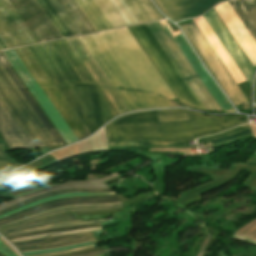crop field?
Wrapping results in <instances>:
<instances>
[{
    "label": "crop field",
    "mask_w": 256,
    "mask_h": 256,
    "mask_svg": "<svg viewBox=\"0 0 256 256\" xmlns=\"http://www.w3.org/2000/svg\"><path fill=\"white\" fill-rule=\"evenodd\" d=\"M66 42L77 55L79 60L82 62L92 78L95 80L97 85L100 87V89L105 94L110 103L113 105L118 114L129 112L130 109L127 107L123 99L115 90L111 82L108 80L106 75L98 66V64L91 56L89 51L86 49L84 44L81 42L79 37L67 39Z\"/></svg>",
    "instance_id": "28ad6ade"
},
{
    "label": "crop field",
    "mask_w": 256,
    "mask_h": 256,
    "mask_svg": "<svg viewBox=\"0 0 256 256\" xmlns=\"http://www.w3.org/2000/svg\"><path fill=\"white\" fill-rule=\"evenodd\" d=\"M28 49L27 47L16 48L14 49V51L17 53L27 69L30 71L32 76L35 78L37 83L40 85L42 90L45 92V94L50 99L60 115L63 117V119L68 124L78 140L88 137L90 135L89 132L83 126L81 121L78 119V117L67 104L65 99L59 93L57 88L51 82L41 66L38 64V62L36 61L37 59L35 60V58L31 54L32 52L30 53Z\"/></svg>",
    "instance_id": "e52e79f7"
},
{
    "label": "crop field",
    "mask_w": 256,
    "mask_h": 256,
    "mask_svg": "<svg viewBox=\"0 0 256 256\" xmlns=\"http://www.w3.org/2000/svg\"><path fill=\"white\" fill-rule=\"evenodd\" d=\"M197 26L200 28L206 39L209 41L217 55L220 57L226 68L229 70L235 81L239 84L245 81V78L240 73L234 62L231 60L225 49L222 47L216 36L213 34L207 23L202 16L194 20Z\"/></svg>",
    "instance_id": "92a150f3"
},
{
    "label": "crop field",
    "mask_w": 256,
    "mask_h": 256,
    "mask_svg": "<svg viewBox=\"0 0 256 256\" xmlns=\"http://www.w3.org/2000/svg\"><path fill=\"white\" fill-rule=\"evenodd\" d=\"M0 184H2V182L0 181Z\"/></svg>",
    "instance_id": "dbb93151"
},
{
    "label": "crop field",
    "mask_w": 256,
    "mask_h": 256,
    "mask_svg": "<svg viewBox=\"0 0 256 256\" xmlns=\"http://www.w3.org/2000/svg\"><path fill=\"white\" fill-rule=\"evenodd\" d=\"M20 165L21 164L13 163L7 159L4 151L3 141L0 140V174L8 172Z\"/></svg>",
    "instance_id": "e1f06a70"
},
{
    "label": "crop field",
    "mask_w": 256,
    "mask_h": 256,
    "mask_svg": "<svg viewBox=\"0 0 256 256\" xmlns=\"http://www.w3.org/2000/svg\"><path fill=\"white\" fill-rule=\"evenodd\" d=\"M109 191H113L112 189H106V190H79V189H70V190H64V191H57V192H51V193H48V194H45V195H42V196H39V197H36V198H33L31 200H28L26 202H23L21 204H18L14 207H11L9 209H6L2 212H0V215L9 211V210H12V209H15L17 207H20V206H23V205H26L28 203H31V202H34L36 200H39V199H43V198H46L48 196H51V195H55V194H61V193H69V192H109Z\"/></svg>",
    "instance_id": "d32e631a"
},
{
    "label": "crop field",
    "mask_w": 256,
    "mask_h": 256,
    "mask_svg": "<svg viewBox=\"0 0 256 256\" xmlns=\"http://www.w3.org/2000/svg\"><path fill=\"white\" fill-rule=\"evenodd\" d=\"M6 48H7L6 45L3 43V41L0 38V50L1 49H6Z\"/></svg>",
    "instance_id": "25e5ab78"
},
{
    "label": "crop field",
    "mask_w": 256,
    "mask_h": 256,
    "mask_svg": "<svg viewBox=\"0 0 256 256\" xmlns=\"http://www.w3.org/2000/svg\"><path fill=\"white\" fill-rule=\"evenodd\" d=\"M80 39L131 111L173 107L175 96L126 28Z\"/></svg>",
    "instance_id": "8a807250"
},
{
    "label": "crop field",
    "mask_w": 256,
    "mask_h": 256,
    "mask_svg": "<svg viewBox=\"0 0 256 256\" xmlns=\"http://www.w3.org/2000/svg\"><path fill=\"white\" fill-rule=\"evenodd\" d=\"M28 48L90 134L116 116L64 40Z\"/></svg>",
    "instance_id": "ac0d7876"
},
{
    "label": "crop field",
    "mask_w": 256,
    "mask_h": 256,
    "mask_svg": "<svg viewBox=\"0 0 256 256\" xmlns=\"http://www.w3.org/2000/svg\"><path fill=\"white\" fill-rule=\"evenodd\" d=\"M0 253L4 256H17L5 243L0 240Z\"/></svg>",
    "instance_id": "03da06ac"
},
{
    "label": "crop field",
    "mask_w": 256,
    "mask_h": 256,
    "mask_svg": "<svg viewBox=\"0 0 256 256\" xmlns=\"http://www.w3.org/2000/svg\"><path fill=\"white\" fill-rule=\"evenodd\" d=\"M67 37L79 35V31L59 5L57 0H42Z\"/></svg>",
    "instance_id": "4177f3b9"
},
{
    "label": "crop field",
    "mask_w": 256,
    "mask_h": 256,
    "mask_svg": "<svg viewBox=\"0 0 256 256\" xmlns=\"http://www.w3.org/2000/svg\"><path fill=\"white\" fill-rule=\"evenodd\" d=\"M37 3L39 4V6L42 8V10L44 11V13L47 15V17L49 18V20L52 22V24L54 25V27L57 29V31L59 32V34L62 36V38H65L66 35L63 33V31L61 30V28L58 26V24L56 23V21L53 19V17L51 16V14L48 12V10L46 9V7L43 5V3L41 2V0H36Z\"/></svg>",
    "instance_id": "c21b1889"
},
{
    "label": "crop field",
    "mask_w": 256,
    "mask_h": 256,
    "mask_svg": "<svg viewBox=\"0 0 256 256\" xmlns=\"http://www.w3.org/2000/svg\"><path fill=\"white\" fill-rule=\"evenodd\" d=\"M220 256H221V253H220Z\"/></svg>",
    "instance_id": "0fb4a251"
},
{
    "label": "crop field",
    "mask_w": 256,
    "mask_h": 256,
    "mask_svg": "<svg viewBox=\"0 0 256 256\" xmlns=\"http://www.w3.org/2000/svg\"><path fill=\"white\" fill-rule=\"evenodd\" d=\"M10 1L39 42L61 38L35 0Z\"/></svg>",
    "instance_id": "22f410ed"
},
{
    "label": "crop field",
    "mask_w": 256,
    "mask_h": 256,
    "mask_svg": "<svg viewBox=\"0 0 256 256\" xmlns=\"http://www.w3.org/2000/svg\"><path fill=\"white\" fill-rule=\"evenodd\" d=\"M93 244H95V241L94 242H90V243H86V244H81V245L61 248V249L26 252V253H22V255L23 256H27V255H35V254H41V253H47V252L62 251V250H66V249H71V248L81 247V246H88V245H93Z\"/></svg>",
    "instance_id": "c035e120"
},
{
    "label": "crop field",
    "mask_w": 256,
    "mask_h": 256,
    "mask_svg": "<svg viewBox=\"0 0 256 256\" xmlns=\"http://www.w3.org/2000/svg\"><path fill=\"white\" fill-rule=\"evenodd\" d=\"M2 54L5 56V58L10 63V65L13 67L15 72L18 74V76L23 81L25 86L28 88V90L31 92L33 97L38 102V104L44 110L46 115L49 117V119L54 124V126L59 131V133L62 135L64 140L67 142V144L73 141H77V138L74 136V134L69 129L67 124L61 118L59 113L56 111L54 106L51 104L49 99L46 97V95L41 90V88L36 83V81L31 76V74L28 72L26 67L23 65L21 60L13 51V49L2 51Z\"/></svg>",
    "instance_id": "3316defc"
},
{
    "label": "crop field",
    "mask_w": 256,
    "mask_h": 256,
    "mask_svg": "<svg viewBox=\"0 0 256 256\" xmlns=\"http://www.w3.org/2000/svg\"><path fill=\"white\" fill-rule=\"evenodd\" d=\"M0 256H2V255L0 254Z\"/></svg>",
    "instance_id": "1d79db26"
},
{
    "label": "crop field",
    "mask_w": 256,
    "mask_h": 256,
    "mask_svg": "<svg viewBox=\"0 0 256 256\" xmlns=\"http://www.w3.org/2000/svg\"><path fill=\"white\" fill-rule=\"evenodd\" d=\"M189 37L199 54L202 56L212 73L215 75L225 92L235 105L242 104L244 109L250 110L251 104L245 97L239 86L231 77L223 63L220 61L212 47L209 45L196 24L191 22L181 26Z\"/></svg>",
    "instance_id": "dd49c442"
},
{
    "label": "crop field",
    "mask_w": 256,
    "mask_h": 256,
    "mask_svg": "<svg viewBox=\"0 0 256 256\" xmlns=\"http://www.w3.org/2000/svg\"><path fill=\"white\" fill-rule=\"evenodd\" d=\"M58 2L68 14V16L71 18L81 34L94 32V30L91 28L89 23L86 21V19L72 0H58Z\"/></svg>",
    "instance_id": "730fd06b"
},
{
    "label": "crop field",
    "mask_w": 256,
    "mask_h": 256,
    "mask_svg": "<svg viewBox=\"0 0 256 256\" xmlns=\"http://www.w3.org/2000/svg\"><path fill=\"white\" fill-rule=\"evenodd\" d=\"M0 179L3 183L7 182V181H10V180H13L15 179V177L13 176L12 173L10 174H7V175H3V176H0Z\"/></svg>",
    "instance_id": "5d738f31"
},
{
    "label": "crop field",
    "mask_w": 256,
    "mask_h": 256,
    "mask_svg": "<svg viewBox=\"0 0 256 256\" xmlns=\"http://www.w3.org/2000/svg\"><path fill=\"white\" fill-rule=\"evenodd\" d=\"M111 194H116V193L115 192H109V193H70V194H62V195L51 196L49 198L39 200V201H36L34 203L28 204L26 206L20 207L18 209L9 211V212L1 215L0 218L5 217V216H7V215H9L13 212H16V211L28 208L30 206L36 205L38 203L45 202V201L52 200V199L67 198V197H73V196H98V195H111Z\"/></svg>",
    "instance_id": "bd1437ed"
},
{
    "label": "crop field",
    "mask_w": 256,
    "mask_h": 256,
    "mask_svg": "<svg viewBox=\"0 0 256 256\" xmlns=\"http://www.w3.org/2000/svg\"><path fill=\"white\" fill-rule=\"evenodd\" d=\"M129 30L140 43L181 102L191 107L205 110L180 73L151 35L145 24L130 27Z\"/></svg>",
    "instance_id": "f4fd0767"
},
{
    "label": "crop field",
    "mask_w": 256,
    "mask_h": 256,
    "mask_svg": "<svg viewBox=\"0 0 256 256\" xmlns=\"http://www.w3.org/2000/svg\"><path fill=\"white\" fill-rule=\"evenodd\" d=\"M113 28L161 19L149 0H94Z\"/></svg>",
    "instance_id": "d8731c3e"
},
{
    "label": "crop field",
    "mask_w": 256,
    "mask_h": 256,
    "mask_svg": "<svg viewBox=\"0 0 256 256\" xmlns=\"http://www.w3.org/2000/svg\"><path fill=\"white\" fill-rule=\"evenodd\" d=\"M248 122L241 116L205 117L183 109L124 115L106 125L109 141L159 140L213 134Z\"/></svg>",
    "instance_id": "34b2d1b8"
},
{
    "label": "crop field",
    "mask_w": 256,
    "mask_h": 256,
    "mask_svg": "<svg viewBox=\"0 0 256 256\" xmlns=\"http://www.w3.org/2000/svg\"><path fill=\"white\" fill-rule=\"evenodd\" d=\"M146 26L149 28L151 33L154 35L178 71L181 73L193 92L204 105L206 110L220 109L200 79L197 77L195 72L192 70L190 65L187 63L167 33L164 31L162 26L159 24V22L148 23Z\"/></svg>",
    "instance_id": "5a996713"
},
{
    "label": "crop field",
    "mask_w": 256,
    "mask_h": 256,
    "mask_svg": "<svg viewBox=\"0 0 256 256\" xmlns=\"http://www.w3.org/2000/svg\"><path fill=\"white\" fill-rule=\"evenodd\" d=\"M0 37L8 48L37 42L8 0H0Z\"/></svg>",
    "instance_id": "d1516ede"
},
{
    "label": "crop field",
    "mask_w": 256,
    "mask_h": 256,
    "mask_svg": "<svg viewBox=\"0 0 256 256\" xmlns=\"http://www.w3.org/2000/svg\"><path fill=\"white\" fill-rule=\"evenodd\" d=\"M108 252H111L110 249L99 251V252H94V253L77 255V256H94V255L104 254V253H108Z\"/></svg>",
    "instance_id": "d23c7cc5"
},
{
    "label": "crop field",
    "mask_w": 256,
    "mask_h": 256,
    "mask_svg": "<svg viewBox=\"0 0 256 256\" xmlns=\"http://www.w3.org/2000/svg\"><path fill=\"white\" fill-rule=\"evenodd\" d=\"M161 25L164 27L166 32L169 34V36L172 38L174 43L177 45L179 50L182 52V54L185 56L187 61L190 63V65L193 67L195 72L198 74L200 79L203 81V83L206 85L208 90L211 92L213 97L216 99V101L221 106L222 110L225 112H235L232 107L229 105L227 99L224 97V95L221 93L219 88L216 86V84L213 82V80L210 78V76L207 74L205 69L202 67L198 59L195 57L191 49L186 44L182 34L180 31L176 33H172L171 30L168 28V26L165 24L164 21L160 22Z\"/></svg>",
    "instance_id": "d9b57169"
},
{
    "label": "crop field",
    "mask_w": 256,
    "mask_h": 256,
    "mask_svg": "<svg viewBox=\"0 0 256 256\" xmlns=\"http://www.w3.org/2000/svg\"><path fill=\"white\" fill-rule=\"evenodd\" d=\"M108 255H110V254H104V255H99V256H108Z\"/></svg>",
    "instance_id": "89e229c0"
},
{
    "label": "crop field",
    "mask_w": 256,
    "mask_h": 256,
    "mask_svg": "<svg viewBox=\"0 0 256 256\" xmlns=\"http://www.w3.org/2000/svg\"><path fill=\"white\" fill-rule=\"evenodd\" d=\"M116 176H111V177H105L102 179H97V180H89V181H70L67 183H62V184H58L54 187H50V188H46V189H42L39 190L37 192L34 193H30L24 196H20L17 197L13 200L7 201V202H3L0 203V210L10 207L12 205H15L17 203H20L22 201H25L27 199H30L32 197H35L37 195H41V194H45L51 191H57V190H64V189H70V188H80V189H106L109 188L107 187L103 181L105 180H109L112 179Z\"/></svg>",
    "instance_id": "214f88e0"
},
{
    "label": "crop field",
    "mask_w": 256,
    "mask_h": 256,
    "mask_svg": "<svg viewBox=\"0 0 256 256\" xmlns=\"http://www.w3.org/2000/svg\"><path fill=\"white\" fill-rule=\"evenodd\" d=\"M97 226H100V224L60 228V229H54V230H48V231H42V232L29 233V234H24V235H20V236L9 237V238H7V240L13 239V238H17V237H23V236H31V235H37V234H43V233L65 231V230H73V229H81V228H89V227H97Z\"/></svg>",
    "instance_id": "b80d0937"
},
{
    "label": "crop field",
    "mask_w": 256,
    "mask_h": 256,
    "mask_svg": "<svg viewBox=\"0 0 256 256\" xmlns=\"http://www.w3.org/2000/svg\"><path fill=\"white\" fill-rule=\"evenodd\" d=\"M116 201H119V199H118V198H115V199H110V200H72V201H66V202H59V203H54V204H52V205H50V206L42 207V208H39V209L30 211V212L21 214V215H19V216L10 218V219H8V220H6V221H4V222H1L0 224L6 223V222H10V221H13V220L18 219V218H21V217H25V216H28V215H32V214H35V213H38V212H41V211H44V210H47V209H50V208H53V207L65 205V204H77V203H111V202H116Z\"/></svg>",
    "instance_id": "d3111659"
},
{
    "label": "crop field",
    "mask_w": 256,
    "mask_h": 256,
    "mask_svg": "<svg viewBox=\"0 0 256 256\" xmlns=\"http://www.w3.org/2000/svg\"><path fill=\"white\" fill-rule=\"evenodd\" d=\"M255 102H256V92H255Z\"/></svg>",
    "instance_id": "1f2cbd36"
},
{
    "label": "crop field",
    "mask_w": 256,
    "mask_h": 256,
    "mask_svg": "<svg viewBox=\"0 0 256 256\" xmlns=\"http://www.w3.org/2000/svg\"><path fill=\"white\" fill-rule=\"evenodd\" d=\"M0 99L35 148L57 145L1 64Z\"/></svg>",
    "instance_id": "412701ff"
},
{
    "label": "crop field",
    "mask_w": 256,
    "mask_h": 256,
    "mask_svg": "<svg viewBox=\"0 0 256 256\" xmlns=\"http://www.w3.org/2000/svg\"><path fill=\"white\" fill-rule=\"evenodd\" d=\"M202 16L251 85L255 71L242 54L238 46L235 44L231 36L228 34L224 26L221 24L217 16L214 14L212 9Z\"/></svg>",
    "instance_id": "5142ce71"
},
{
    "label": "crop field",
    "mask_w": 256,
    "mask_h": 256,
    "mask_svg": "<svg viewBox=\"0 0 256 256\" xmlns=\"http://www.w3.org/2000/svg\"><path fill=\"white\" fill-rule=\"evenodd\" d=\"M115 197H117V196L116 195H111V196H99V197H74V198H68V199L52 200V201H48V202H45V203L38 204L36 206H33L31 208H28V209H25V210H22V211H19V212H16V213H14V214H12V215H10L8 217L0 219V222L4 221V220H6V219H8L10 217L16 216L18 214H21V213H24V212H27V211H30V210H33V209H36V208H39V207H42V206L54 203V202L71 200V199H110V198H115Z\"/></svg>",
    "instance_id": "5866460e"
},
{
    "label": "crop field",
    "mask_w": 256,
    "mask_h": 256,
    "mask_svg": "<svg viewBox=\"0 0 256 256\" xmlns=\"http://www.w3.org/2000/svg\"><path fill=\"white\" fill-rule=\"evenodd\" d=\"M96 230H101V227H97V228H89V229H81V230H73V231H65V232H57V233H51V234H45V235H39V236H33V237H28V238H22V239L10 240V242H13V241H21V240L37 239V238L50 237V236H58V235L74 234V233H81V232H88V231H96Z\"/></svg>",
    "instance_id": "0bd39190"
},
{
    "label": "crop field",
    "mask_w": 256,
    "mask_h": 256,
    "mask_svg": "<svg viewBox=\"0 0 256 256\" xmlns=\"http://www.w3.org/2000/svg\"><path fill=\"white\" fill-rule=\"evenodd\" d=\"M99 222L103 223V222H106V220L102 219V220L82 221V222L67 223V224L53 225V226H47V227H39V228H33V229L22 231V232H16V233L4 235V237L7 238L9 236L19 235V234H23V233L36 232V231H42V230H48V229H53V228L66 227V226L94 224V223H99Z\"/></svg>",
    "instance_id": "120bbe31"
},
{
    "label": "crop field",
    "mask_w": 256,
    "mask_h": 256,
    "mask_svg": "<svg viewBox=\"0 0 256 256\" xmlns=\"http://www.w3.org/2000/svg\"><path fill=\"white\" fill-rule=\"evenodd\" d=\"M167 16L180 21L201 15L220 0H156Z\"/></svg>",
    "instance_id": "733c2abd"
},
{
    "label": "crop field",
    "mask_w": 256,
    "mask_h": 256,
    "mask_svg": "<svg viewBox=\"0 0 256 256\" xmlns=\"http://www.w3.org/2000/svg\"><path fill=\"white\" fill-rule=\"evenodd\" d=\"M75 2L83 11L96 31L112 28L93 0H75Z\"/></svg>",
    "instance_id": "a9b5d70f"
},
{
    "label": "crop field",
    "mask_w": 256,
    "mask_h": 256,
    "mask_svg": "<svg viewBox=\"0 0 256 256\" xmlns=\"http://www.w3.org/2000/svg\"><path fill=\"white\" fill-rule=\"evenodd\" d=\"M0 63L2 64V66L4 67V69L6 70V72L9 74V76L11 77V79L14 81V83L16 84V86L19 88V90L21 91V93L24 95V97L26 98V100L28 101V103L31 105V107L33 108V110L36 112V114L38 115V117L41 119V121L43 122V124L46 126V128L48 129V131L50 132V134L53 136V138L55 139V141L58 143V145H65V143L62 141V139L60 138V136L57 134V132L55 131V129L52 127V125L50 124V122L47 120V118L45 117V115L42 113V111L40 110V108L37 106V104L35 103V101L33 100V98L30 96V94L28 93V91L25 89V87L23 86V84L20 82V80L18 79V77L15 75V73L13 72V70L10 68V66L8 65V63L5 61V59L3 58V56L0 54Z\"/></svg>",
    "instance_id": "00972430"
},
{
    "label": "crop field",
    "mask_w": 256,
    "mask_h": 256,
    "mask_svg": "<svg viewBox=\"0 0 256 256\" xmlns=\"http://www.w3.org/2000/svg\"><path fill=\"white\" fill-rule=\"evenodd\" d=\"M91 235H92L93 239L96 240L92 232H91ZM91 235H90V233H88V234L58 236V237H50V238L24 241V242H19V243H15V244L22 252H24V251H31V250H40V249H45V248L61 247V246L75 244V243L91 241V240H93ZM12 244L20 253H22L15 246L14 243H12Z\"/></svg>",
    "instance_id": "bc2a9ffb"
},
{
    "label": "crop field",
    "mask_w": 256,
    "mask_h": 256,
    "mask_svg": "<svg viewBox=\"0 0 256 256\" xmlns=\"http://www.w3.org/2000/svg\"><path fill=\"white\" fill-rule=\"evenodd\" d=\"M89 248H95V245L88 246V247H82V248H75V249H71V250H67V251H63V252L47 253V254H41V255H35V256H53V255H58V254H63V253H68V252L79 251V250H83V249H89Z\"/></svg>",
    "instance_id": "b54c1fbb"
},
{
    "label": "crop field",
    "mask_w": 256,
    "mask_h": 256,
    "mask_svg": "<svg viewBox=\"0 0 256 256\" xmlns=\"http://www.w3.org/2000/svg\"><path fill=\"white\" fill-rule=\"evenodd\" d=\"M253 67H256V43L228 2L213 7Z\"/></svg>",
    "instance_id": "cbeb9de0"
},
{
    "label": "crop field",
    "mask_w": 256,
    "mask_h": 256,
    "mask_svg": "<svg viewBox=\"0 0 256 256\" xmlns=\"http://www.w3.org/2000/svg\"><path fill=\"white\" fill-rule=\"evenodd\" d=\"M81 220H83V219L77 220L73 214L61 215V216L46 218V219H42L39 221L31 222L28 224L9 228L0 233L2 235H4V234L16 232V231L26 230V229L33 228V227L46 226V225L59 224V223H67V222H75V221H81Z\"/></svg>",
    "instance_id": "eef30255"
},
{
    "label": "crop field",
    "mask_w": 256,
    "mask_h": 256,
    "mask_svg": "<svg viewBox=\"0 0 256 256\" xmlns=\"http://www.w3.org/2000/svg\"><path fill=\"white\" fill-rule=\"evenodd\" d=\"M229 4L256 42V0H233Z\"/></svg>",
    "instance_id": "dafd665d"
},
{
    "label": "crop field",
    "mask_w": 256,
    "mask_h": 256,
    "mask_svg": "<svg viewBox=\"0 0 256 256\" xmlns=\"http://www.w3.org/2000/svg\"><path fill=\"white\" fill-rule=\"evenodd\" d=\"M13 174L15 175L16 178L23 176L25 174H27L24 170L20 169L18 171L13 172Z\"/></svg>",
    "instance_id": "425ffa30"
},
{
    "label": "crop field",
    "mask_w": 256,
    "mask_h": 256,
    "mask_svg": "<svg viewBox=\"0 0 256 256\" xmlns=\"http://www.w3.org/2000/svg\"><path fill=\"white\" fill-rule=\"evenodd\" d=\"M0 134L11 150L34 148L0 100Z\"/></svg>",
    "instance_id": "4a817a6b"
},
{
    "label": "crop field",
    "mask_w": 256,
    "mask_h": 256,
    "mask_svg": "<svg viewBox=\"0 0 256 256\" xmlns=\"http://www.w3.org/2000/svg\"><path fill=\"white\" fill-rule=\"evenodd\" d=\"M122 207H123L122 204H120V205L113 206V207L68 209V210H64V211H59V212H54V213L46 214V215H43V216H39V217L29 219V220H26V221H23V222H20V223H16V224L4 227V228H0V230L6 229V228H9V227H12V226H16V225H19V224H23V223H26V222H30V221H33V220L59 215V214H62V213L77 212V211H102V210L118 209V208H122Z\"/></svg>",
    "instance_id": "750c4746"
},
{
    "label": "crop field",
    "mask_w": 256,
    "mask_h": 256,
    "mask_svg": "<svg viewBox=\"0 0 256 256\" xmlns=\"http://www.w3.org/2000/svg\"><path fill=\"white\" fill-rule=\"evenodd\" d=\"M233 237H235V236H233ZM237 238H240V237H237ZM240 239H243V238H240ZM243 240H246V239H243ZM246 241H249V242H252V243L256 244V242H254V241H250V240H246Z\"/></svg>",
    "instance_id": "73cf0c24"
},
{
    "label": "crop field",
    "mask_w": 256,
    "mask_h": 256,
    "mask_svg": "<svg viewBox=\"0 0 256 256\" xmlns=\"http://www.w3.org/2000/svg\"><path fill=\"white\" fill-rule=\"evenodd\" d=\"M117 204H119V202L111 203V204H77V205H66V206H61V207H57V208H54V209H50V210H47V211H44V212H41V213H38V214H35V215H32V216L21 218V219H18L16 221H13V222L0 225V227L6 226V225H9V224H13V223H16V222H19V221H22V220H25V219H29V218H32V217H36V216H39V215H43V214H46V213L67 209V208H74V207H102V206H113V205H117Z\"/></svg>",
    "instance_id": "1d83c4d3"
},
{
    "label": "crop field",
    "mask_w": 256,
    "mask_h": 256,
    "mask_svg": "<svg viewBox=\"0 0 256 256\" xmlns=\"http://www.w3.org/2000/svg\"><path fill=\"white\" fill-rule=\"evenodd\" d=\"M110 146H153V145H181L185 146L184 140L173 142H118L109 143Z\"/></svg>",
    "instance_id": "028f5c9d"
},
{
    "label": "crop field",
    "mask_w": 256,
    "mask_h": 256,
    "mask_svg": "<svg viewBox=\"0 0 256 256\" xmlns=\"http://www.w3.org/2000/svg\"><path fill=\"white\" fill-rule=\"evenodd\" d=\"M250 134L251 133H250L249 125L247 124L244 126L231 128L229 130H226L224 132H221L213 136H208V137L198 139L197 142L210 140L211 144L214 145L218 143L235 140L237 138L250 135Z\"/></svg>",
    "instance_id": "ae1a2a85"
}]
</instances>
